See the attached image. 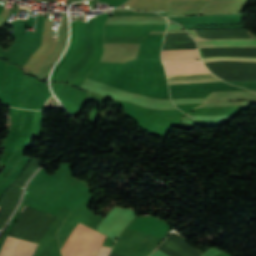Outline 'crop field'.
Wrapping results in <instances>:
<instances>
[{
    "instance_id": "obj_5",
    "label": "crop field",
    "mask_w": 256,
    "mask_h": 256,
    "mask_svg": "<svg viewBox=\"0 0 256 256\" xmlns=\"http://www.w3.org/2000/svg\"><path fill=\"white\" fill-rule=\"evenodd\" d=\"M31 244L32 243L30 242L21 241V243L18 245L12 256H26ZM36 247V244H32L27 256H32Z\"/></svg>"
},
{
    "instance_id": "obj_11",
    "label": "crop field",
    "mask_w": 256,
    "mask_h": 256,
    "mask_svg": "<svg viewBox=\"0 0 256 256\" xmlns=\"http://www.w3.org/2000/svg\"><path fill=\"white\" fill-rule=\"evenodd\" d=\"M49 21V20H48Z\"/></svg>"
},
{
    "instance_id": "obj_3",
    "label": "crop field",
    "mask_w": 256,
    "mask_h": 256,
    "mask_svg": "<svg viewBox=\"0 0 256 256\" xmlns=\"http://www.w3.org/2000/svg\"><path fill=\"white\" fill-rule=\"evenodd\" d=\"M192 37L197 43L198 48L219 47V46H255L256 47V39H252V38L210 40L206 38H200V37H194V36Z\"/></svg>"
},
{
    "instance_id": "obj_8",
    "label": "crop field",
    "mask_w": 256,
    "mask_h": 256,
    "mask_svg": "<svg viewBox=\"0 0 256 256\" xmlns=\"http://www.w3.org/2000/svg\"><path fill=\"white\" fill-rule=\"evenodd\" d=\"M211 76H213L212 73L175 75V76H168V79H189V78L211 77Z\"/></svg>"
},
{
    "instance_id": "obj_9",
    "label": "crop field",
    "mask_w": 256,
    "mask_h": 256,
    "mask_svg": "<svg viewBox=\"0 0 256 256\" xmlns=\"http://www.w3.org/2000/svg\"><path fill=\"white\" fill-rule=\"evenodd\" d=\"M109 251H110V248H106V247L101 246L97 256H107Z\"/></svg>"
},
{
    "instance_id": "obj_2",
    "label": "crop field",
    "mask_w": 256,
    "mask_h": 256,
    "mask_svg": "<svg viewBox=\"0 0 256 256\" xmlns=\"http://www.w3.org/2000/svg\"><path fill=\"white\" fill-rule=\"evenodd\" d=\"M162 61L165 65L167 75L209 72L201 61L196 59Z\"/></svg>"
},
{
    "instance_id": "obj_7",
    "label": "crop field",
    "mask_w": 256,
    "mask_h": 256,
    "mask_svg": "<svg viewBox=\"0 0 256 256\" xmlns=\"http://www.w3.org/2000/svg\"><path fill=\"white\" fill-rule=\"evenodd\" d=\"M212 81H223L219 78H210V79H194V80H168L169 84H178V83H195V82H212Z\"/></svg>"
},
{
    "instance_id": "obj_6",
    "label": "crop field",
    "mask_w": 256,
    "mask_h": 256,
    "mask_svg": "<svg viewBox=\"0 0 256 256\" xmlns=\"http://www.w3.org/2000/svg\"><path fill=\"white\" fill-rule=\"evenodd\" d=\"M203 62H213V61H248L256 62V58L251 57H206L202 58Z\"/></svg>"
},
{
    "instance_id": "obj_4",
    "label": "crop field",
    "mask_w": 256,
    "mask_h": 256,
    "mask_svg": "<svg viewBox=\"0 0 256 256\" xmlns=\"http://www.w3.org/2000/svg\"><path fill=\"white\" fill-rule=\"evenodd\" d=\"M25 206H24V208H25ZM19 242H20V240L8 235L6 241L4 242V244L0 250V256H11V254L13 253V251L15 250V248L17 247Z\"/></svg>"
},
{
    "instance_id": "obj_10",
    "label": "crop field",
    "mask_w": 256,
    "mask_h": 256,
    "mask_svg": "<svg viewBox=\"0 0 256 256\" xmlns=\"http://www.w3.org/2000/svg\"><path fill=\"white\" fill-rule=\"evenodd\" d=\"M199 51H200V56L203 57L200 49H199Z\"/></svg>"
},
{
    "instance_id": "obj_1",
    "label": "crop field",
    "mask_w": 256,
    "mask_h": 256,
    "mask_svg": "<svg viewBox=\"0 0 256 256\" xmlns=\"http://www.w3.org/2000/svg\"><path fill=\"white\" fill-rule=\"evenodd\" d=\"M105 235L78 224L61 249L63 256H95Z\"/></svg>"
}]
</instances>
